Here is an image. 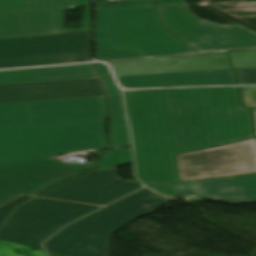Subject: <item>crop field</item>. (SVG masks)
<instances>
[{
	"mask_svg": "<svg viewBox=\"0 0 256 256\" xmlns=\"http://www.w3.org/2000/svg\"><path fill=\"white\" fill-rule=\"evenodd\" d=\"M137 176L180 181L176 154L255 137L237 87L125 91Z\"/></svg>",
	"mask_w": 256,
	"mask_h": 256,
	"instance_id": "crop-field-1",
	"label": "crop field"
},
{
	"mask_svg": "<svg viewBox=\"0 0 256 256\" xmlns=\"http://www.w3.org/2000/svg\"><path fill=\"white\" fill-rule=\"evenodd\" d=\"M104 96L0 104V164L109 147Z\"/></svg>",
	"mask_w": 256,
	"mask_h": 256,
	"instance_id": "crop-field-2",
	"label": "crop field"
},
{
	"mask_svg": "<svg viewBox=\"0 0 256 256\" xmlns=\"http://www.w3.org/2000/svg\"><path fill=\"white\" fill-rule=\"evenodd\" d=\"M95 60L192 53L162 28L153 6L94 10Z\"/></svg>",
	"mask_w": 256,
	"mask_h": 256,
	"instance_id": "crop-field-3",
	"label": "crop field"
},
{
	"mask_svg": "<svg viewBox=\"0 0 256 256\" xmlns=\"http://www.w3.org/2000/svg\"><path fill=\"white\" fill-rule=\"evenodd\" d=\"M153 194L155 193L144 188L64 228L65 230L45 243L48 251L69 256H98L90 252L108 239V234L120 229L122 224L171 201L164 196L152 200L150 196Z\"/></svg>",
	"mask_w": 256,
	"mask_h": 256,
	"instance_id": "crop-field-4",
	"label": "crop field"
},
{
	"mask_svg": "<svg viewBox=\"0 0 256 256\" xmlns=\"http://www.w3.org/2000/svg\"><path fill=\"white\" fill-rule=\"evenodd\" d=\"M89 0H0V39L88 30ZM85 7L83 28L63 30V8Z\"/></svg>",
	"mask_w": 256,
	"mask_h": 256,
	"instance_id": "crop-field-5",
	"label": "crop field"
},
{
	"mask_svg": "<svg viewBox=\"0 0 256 256\" xmlns=\"http://www.w3.org/2000/svg\"><path fill=\"white\" fill-rule=\"evenodd\" d=\"M89 32L0 41V68L88 60Z\"/></svg>",
	"mask_w": 256,
	"mask_h": 256,
	"instance_id": "crop-field-6",
	"label": "crop field"
},
{
	"mask_svg": "<svg viewBox=\"0 0 256 256\" xmlns=\"http://www.w3.org/2000/svg\"><path fill=\"white\" fill-rule=\"evenodd\" d=\"M95 162L71 165L53 157L0 165V204L20 195L38 196L84 172Z\"/></svg>",
	"mask_w": 256,
	"mask_h": 256,
	"instance_id": "crop-field-7",
	"label": "crop field"
},
{
	"mask_svg": "<svg viewBox=\"0 0 256 256\" xmlns=\"http://www.w3.org/2000/svg\"><path fill=\"white\" fill-rule=\"evenodd\" d=\"M97 207L37 199L19 209L0 239L42 249L40 243L64 224Z\"/></svg>",
	"mask_w": 256,
	"mask_h": 256,
	"instance_id": "crop-field-8",
	"label": "crop field"
},
{
	"mask_svg": "<svg viewBox=\"0 0 256 256\" xmlns=\"http://www.w3.org/2000/svg\"><path fill=\"white\" fill-rule=\"evenodd\" d=\"M181 181L256 172L255 138L177 155Z\"/></svg>",
	"mask_w": 256,
	"mask_h": 256,
	"instance_id": "crop-field-9",
	"label": "crop field"
},
{
	"mask_svg": "<svg viewBox=\"0 0 256 256\" xmlns=\"http://www.w3.org/2000/svg\"><path fill=\"white\" fill-rule=\"evenodd\" d=\"M156 7L167 29L201 53L256 48V40L227 42L224 27L205 28L187 4Z\"/></svg>",
	"mask_w": 256,
	"mask_h": 256,
	"instance_id": "crop-field-10",
	"label": "crop field"
},
{
	"mask_svg": "<svg viewBox=\"0 0 256 256\" xmlns=\"http://www.w3.org/2000/svg\"><path fill=\"white\" fill-rule=\"evenodd\" d=\"M140 186V183L118 180L113 167L86 174L44 196L105 205Z\"/></svg>",
	"mask_w": 256,
	"mask_h": 256,
	"instance_id": "crop-field-11",
	"label": "crop field"
},
{
	"mask_svg": "<svg viewBox=\"0 0 256 256\" xmlns=\"http://www.w3.org/2000/svg\"><path fill=\"white\" fill-rule=\"evenodd\" d=\"M116 76L230 68L227 53L109 62Z\"/></svg>",
	"mask_w": 256,
	"mask_h": 256,
	"instance_id": "crop-field-12",
	"label": "crop field"
},
{
	"mask_svg": "<svg viewBox=\"0 0 256 256\" xmlns=\"http://www.w3.org/2000/svg\"><path fill=\"white\" fill-rule=\"evenodd\" d=\"M104 95L99 79L0 85V103Z\"/></svg>",
	"mask_w": 256,
	"mask_h": 256,
	"instance_id": "crop-field-13",
	"label": "crop field"
},
{
	"mask_svg": "<svg viewBox=\"0 0 256 256\" xmlns=\"http://www.w3.org/2000/svg\"><path fill=\"white\" fill-rule=\"evenodd\" d=\"M124 88H149L191 85H236L234 72L230 69L117 77Z\"/></svg>",
	"mask_w": 256,
	"mask_h": 256,
	"instance_id": "crop-field-14",
	"label": "crop field"
},
{
	"mask_svg": "<svg viewBox=\"0 0 256 256\" xmlns=\"http://www.w3.org/2000/svg\"><path fill=\"white\" fill-rule=\"evenodd\" d=\"M197 183L198 192L217 202H256V174L182 183Z\"/></svg>",
	"mask_w": 256,
	"mask_h": 256,
	"instance_id": "crop-field-15",
	"label": "crop field"
},
{
	"mask_svg": "<svg viewBox=\"0 0 256 256\" xmlns=\"http://www.w3.org/2000/svg\"><path fill=\"white\" fill-rule=\"evenodd\" d=\"M98 78L91 64L0 71V84Z\"/></svg>",
	"mask_w": 256,
	"mask_h": 256,
	"instance_id": "crop-field-16",
	"label": "crop field"
},
{
	"mask_svg": "<svg viewBox=\"0 0 256 256\" xmlns=\"http://www.w3.org/2000/svg\"><path fill=\"white\" fill-rule=\"evenodd\" d=\"M110 107V135L113 147L127 146L130 144L127 126L124 118L122 97L119 95H108Z\"/></svg>",
	"mask_w": 256,
	"mask_h": 256,
	"instance_id": "crop-field-17",
	"label": "crop field"
},
{
	"mask_svg": "<svg viewBox=\"0 0 256 256\" xmlns=\"http://www.w3.org/2000/svg\"><path fill=\"white\" fill-rule=\"evenodd\" d=\"M132 163L131 148L105 151L99 164V170Z\"/></svg>",
	"mask_w": 256,
	"mask_h": 256,
	"instance_id": "crop-field-18",
	"label": "crop field"
},
{
	"mask_svg": "<svg viewBox=\"0 0 256 256\" xmlns=\"http://www.w3.org/2000/svg\"><path fill=\"white\" fill-rule=\"evenodd\" d=\"M13 249L19 251V255L15 254ZM0 256H46L42 250H31L29 247L21 246L18 244L10 243L0 240Z\"/></svg>",
	"mask_w": 256,
	"mask_h": 256,
	"instance_id": "crop-field-19",
	"label": "crop field"
},
{
	"mask_svg": "<svg viewBox=\"0 0 256 256\" xmlns=\"http://www.w3.org/2000/svg\"><path fill=\"white\" fill-rule=\"evenodd\" d=\"M232 68L256 66V50L229 52Z\"/></svg>",
	"mask_w": 256,
	"mask_h": 256,
	"instance_id": "crop-field-20",
	"label": "crop field"
},
{
	"mask_svg": "<svg viewBox=\"0 0 256 256\" xmlns=\"http://www.w3.org/2000/svg\"><path fill=\"white\" fill-rule=\"evenodd\" d=\"M199 20L205 27L222 26L206 20H202V19H199ZM225 28L227 32L228 41L256 39L255 34L239 26H234V27L225 26Z\"/></svg>",
	"mask_w": 256,
	"mask_h": 256,
	"instance_id": "crop-field-21",
	"label": "crop field"
},
{
	"mask_svg": "<svg viewBox=\"0 0 256 256\" xmlns=\"http://www.w3.org/2000/svg\"><path fill=\"white\" fill-rule=\"evenodd\" d=\"M146 5H152L151 1L150 0L106 1V2H94V9L146 6Z\"/></svg>",
	"mask_w": 256,
	"mask_h": 256,
	"instance_id": "crop-field-22",
	"label": "crop field"
},
{
	"mask_svg": "<svg viewBox=\"0 0 256 256\" xmlns=\"http://www.w3.org/2000/svg\"><path fill=\"white\" fill-rule=\"evenodd\" d=\"M33 199L32 197H26V196H21L17 198L16 200L0 207V228L3 226V224L7 221V219L12 215V213L16 210V208Z\"/></svg>",
	"mask_w": 256,
	"mask_h": 256,
	"instance_id": "crop-field-23",
	"label": "crop field"
},
{
	"mask_svg": "<svg viewBox=\"0 0 256 256\" xmlns=\"http://www.w3.org/2000/svg\"><path fill=\"white\" fill-rule=\"evenodd\" d=\"M239 84L256 83V67L236 69Z\"/></svg>",
	"mask_w": 256,
	"mask_h": 256,
	"instance_id": "crop-field-24",
	"label": "crop field"
},
{
	"mask_svg": "<svg viewBox=\"0 0 256 256\" xmlns=\"http://www.w3.org/2000/svg\"><path fill=\"white\" fill-rule=\"evenodd\" d=\"M244 107H256V86L240 87Z\"/></svg>",
	"mask_w": 256,
	"mask_h": 256,
	"instance_id": "crop-field-25",
	"label": "crop field"
},
{
	"mask_svg": "<svg viewBox=\"0 0 256 256\" xmlns=\"http://www.w3.org/2000/svg\"><path fill=\"white\" fill-rule=\"evenodd\" d=\"M181 186V184L175 185H151L149 188L169 197H177V190H174L170 187Z\"/></svg>",
	"mask_w": 256,
	"mask_h": 256,
	"instance_id": "crop-field-26",
	"label": "crop field"
},
{
	"mask_svg": "<svg viewBox=\"0 0 256 256\" xmlns=\"http://www.w3.org/2000/svg\"><path fill=\"white\" fill-rule=\"evenodd\" d=\"M181 187L186 189H178V197H188V194H199L197 192L196 184ZM174 189H177V187H174Z\"/></svg>",
	"mask_w": 256,
	"mask_h": 256,
	"instance_id": "crop-field-27",
	"label": "crop field"
},
{
	"mask_svg": "<svg viewBox=\"0 0 256 256\" xmlns=\"http://www.w3.org/2000/svg\"><path fill=\"white\" fill-rule=\"evenodd\" d=\"M106 87H107V94H119L120 91L114 84L112 78H102Z\"/></svg>",
	"mask_w": 256,
	"mask_h": 256,
	"instance_id": "crop-field-28",
	"label": "crop field"
},
{
	"mask_svg": "<svg viewBox=\"0 0 256 256\" xmlns=\"http://www.w3.org/2000/svg\"><path fill=\"white\" fill-rule=\"evenodd\" d=\"M93 65H94L95 69L98 71V73L101 75V77H111L105 64L94 63Z\"/></svg>",
	"mask_w": 256,
	"mask_h": 256,
	"instance_id": "crop-field-29",
	"label": "crop field"
},
{
	"mask_svg": "<svg viewBox=\"0 0 256 256\" xmlns=\"http://www.w3.org/2000/svg\"><path fill=\"white\" fill-rule=\"evenodd\" d=\"M95 251L91 252L94 254L102 255V256H108V240H106L101 245L97 246Z\"/></svg>",
	"mask_w": 256,
	"mask_h": 256,
	"instance_id": "crop-field-30",
	"label": "crop field"
},
{
	"mask_svg": "<svg viewBox=\"0 0 256 256\" xmlns=\"http://www.w3.org/2000/svg\"><path fill=\"white\" fill-rule=\"evenodd\" d=\"M156 5H168V4H178L184 3L183 0H154Z\"/></svg>",
	"mask_w": 256,
	"mask_h": 256,
	"instance_id": "crop-field-31",
	"label": "crop field"
},
{
	"mask_svg": "<svg viewBox=\"0 0 256 256\" xmlns=\"http://www.w3.org/2000/svg\"><path fill=\"white\" fill-rule=\"evenodd\" d=\"M49 253V252H48ZM50 256H62V255H57V254H53V253H49Z\"/></svg>",
	"mask_w": 256,
	"mask_h": 256,
	"instance_id": "crop-field-32",
	"label": "crop field"
},
{
	"mask_svg": "<svg viewBox=\"0 0 256 256\" xmlns=\"http://www.w3.org/2000/svg\"><path fill=\"white\" fill-rule=\"evenodd\" d=\"M254 110V116H255V122H256V108H253Z\"/></svg>",
	"mask_w": 256,
	"mask_h": 256,
	"instance_id": "crop-field-33",
	"label": "crop field"
}]
</instances>
